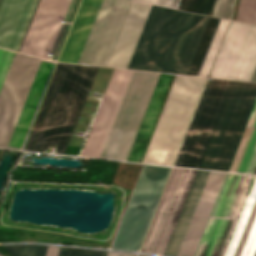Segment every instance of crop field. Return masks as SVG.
<instances>
[{"instance_id":"8a807250","label":"crop field","mask_w":256,"mask_h":256,"mask_svg":"<svg viewBox=\"0 0 256 256\" xmlns=\"http://www.w3.org/2000/svg\"><path fill=\"white\" fill-rule=\"evenodd\" d=\"M159 75L114 70L80 156L127 160Z\"/></svg>"},{"instance_id":"ac0d7876","label":"crop field","mask_w":256,"mask_h":256,"mask_svg":"<svg viewBox=\"0 0 256 256\" xmlns=\"http://www.w3.org/2000/svg\"><path fill=\"white\" fill-rule=\"evenodd\" d=\"M97 68L56 64L23 150L64 153Z\"/></svg>"},{"instance_id":"34b2d1b8","label":"crop field","mask_w":256,"mask_h":256,"mask_svg":"<svg viewBox=\"0 0 256 256\" xmlns=\"http://www.w3.org/2000/svg\"><path fill=\"white\" fill-rule=\"evenodd\" d=\"M42 59L17 53L0 95V147L6 148ZM55 63L42 60L7 148L20 149Z\"/></svg>"},{"instance_id":"412701ff","label":"crop field","mask_w":256,"mask_h":256,"mask_svg":"<svg viewBox=\"0 0 256 256\" xmlns=\"http://www.w3.org/2000/svg\"><path fill=\"white\" fill-rule=\"evenodd\" d=\"M197 16L152 5L127 68L175 73Z\"/></svg>"},{"instance_id":"f4fd0767","label":"crop field","mask_w":256,"mask_h":256,"mask_svg":"<svg viewBox=\"0 0 256 256\" xmlns=\"http://www.w3.org/2000/svg\"><path fill=\"white\" fill-rule=\"evenodd\" d=\"M206 80L176 76L142 162L173 164Z\"/></svg>"},{"instance_id":"dd49c442","label":"crop field","mask_w":256,"mask_h":256,"mask_svg":"<svg viewBox=\"0 0 256 256\" xmlns=\"http://www.w3.org/2000/svg\"><path fill=\"white\" fill-rule=\"evenodd\" d=\"M256 100V83L234 81L199 168L227 171Z\"/></svg>"},{"instance_id":"e52e79f7","label":"crop field","mask_w":256,"mask_h":256,"mask_svg":"<svg viewBox=\"0 0 256 256\" xmlns=\"http://www.w3.org/2000/svg\"><path fill=\"white\" fill-rule=\"evenodd\" d=\"M171 168L145 165L112 248L138 251Z\"/></svg>"},{"instance_id":"d8731c3e","label":"crop field","mask_w":256,"mask_h":256,"mask_svg":"<svg viewBox=\"0 0 256 256\" xmlns=\"http://www.w3.org/2000/svg\"><path fill=\"white\" fill-rule=\"evenodd\" d=\"M233 81H208L175 166L198 168Z\"/></svg>"},{"instance_id":"5a996713","label":"crop field","mask_w":256,"mask_h":256,"mask_svg":"<svg viewBox=\"0 0 256 256\" xmlns=\"http://www.w3.org/2000/svg\"><path fill=\"white\" fill-rule=\"evenodd\" d=\"M196 171L173 169L140 252L164 253Z\"/></svg>"},{"instance_id":"3316defc","label":"crop field","mask_w":256,"mask_h":256,"mask_svg":"<svg viewBox=\"0 0 256 256\" xmlns=\"http://www.w3.org/2000/svg\"><path fill=\"white\" fill-rule=\"evenodd\" d=\"M246 176L227 174L194 256L220 255L247 188L242 187Z\"/></svg>"},{"instance_id":"28ad6ade","label":"crop field","mask_w":256,"mask_h":256,"mask_svg":"<svg viewBox=\"0 0 256 256\" xmlns=\"http://www.w3.org/2000/svg\"><path fill=\"white\" fill-rule=\"evenodd\" d=\"M256 65V25L232 21L211 77L249 81Z\"/></svg>"},{"instance_id":"d1516ede","label":"crop field","mask_w":256,"mask_h":256,"mask_svg":"<svg viewBox=\"0 0 256 256\" xmlns=\"http://www.w3.org/2000/svg\"><path fill=\"white\" fill-rule=\"evenodd\" d=\"M131 2L130 0H103L79 63L107 65Z\"/></svg>"},{"instance_id":"22f410ed","label":"crop field","mask_w":256,"mask_h":256,"mask_svg":"<svg viewBox=\"0 0 256 256\" xmlns=\"http://www.w3.org/2000/svg\"><path fill=\"white\" fill-rule=\"evenodd\" d=\"M71 0H40L20 49L21 53L49 58ZM66 25L63 24L51 54L55 55Z\"/></svg>"},{"instance_id":"cbeb9de0","label":"crop field","mask_w":256,"mask_h":256,"mask_svg":"<svg viewBox=\"0 0 256 256\" xmlns=\"http://www.w3.org/2000/svg\"><path fill=\"white\" fill-rule=\"evenodd\" d=\"M256 251V176H253L220 256H254Z\"/></svg>"},{"instance_id":"5142ce71","label":"crop field","mask_w":256,"mask_h":256,"mask_svg":"<svg viewBox=\"0 0 256 256\" xmlns=\"http://www.w3.org/2000/svg\"><path fill=\"white\" fill-rule=\"evenodd\" d=\"M37 0H2L0 47L17 50Z\"/></svg>"},{"instance_id":"d9b57169","label":"crop field","mask_w":256,"mask_h":256,"mask_svg":"<svg viewBox=\"0 0 256 256\" xmlns=\"http://www.w3.org/2000/svg\"><path fill=\"white\" fill-rule=\"evenodd\" d=\"M151 5L132 2L107 66L126 68Z\"/></svg>"},{"instance_id":"733c2abd","label":"crop field","mask_w":256,"mask_h":256,"mask_svg":"<svg viewBox=\"0 0 256 256\" xmlns=\"http://www.w3.org/2000/svg\"><path fill=\"white\" fill-rule=\"evenodd\" d=\"M227 173L212 172L178 256H193Z\"/></svg>"},{"instance_id":"4a817a6b","label":"crop field","mask_w":256,"mask_h":256,"mask_svg":"<svg viewBox=\"0 0 256 256\" xmlns=\"http://www.w3.org/2000/svg\"><path fill=\"white\" fill-rule=\"evenodd\" d=\"M211 172L198 170L164 254L177 256Z\"/></svg>"},{"instance_id":"bc2a9ffb","label":"crop field","mask_w":256,"mask_h":256,"mask_svg":"<svg viewBox=\"0 0 256 256\" xmlns=\"http://www.w3.org/2000/svg\"><path fill=\"white\" fill-rule=\"evenodd\" d=\"M173 75L161 74L127 161L139 162Z\"/></svg>"},{"instance_id":"214f88e0","label":"crop field","mask_w":256,"mask_h":256,"mask_svg":"<svg viewBox=\"0 0 256 256\" xmlns=\"http://www.w3.org/2000/svg\"><path fill=\"white\" fill-rule=\"evenodd\" d=\"M256 166V103L228 171L252 174Z\"/></svg>"},{"instance_id":"92a150f3","label":"crop field","mask_w":256,"mask_h":256,"mask_svg":"<svg viewBox=\"0 0 256 256\" xmlns=\"http://www.w3.org/2000/svg\"><path fill=\"white\" fill-rule=\"evenodd\" d=\"M219 20L218 18H209L187 75H198Z\"/></svg>"},{"instance_id":"dafd665d","label":"crop field","mask_w":256,"mask_h":256,"mask_svg":"<svg viewBox=\"0 0 256 256\" xmlns=\"http://www.w3.org/2000/svg\"><path fill=\"white\" fill-rule=\"evenodd\" d=\"M209 17L199 15L176 73L186 74Z\"/></svg>"},{"instance_id":"00972430","label":"crop field","mask_w":256,"mask_h":256,"mask_svg":"<svg viewBox=\"0 0 256 256\" xmlns=\"http://www.w3.org/2000/svg\"><path fill=\"white\" fill-rule=\"evenodd\" d=\"M234 0H197L194 13L230 19Z\"/></svg>"},{"instance_id":"a9b5d70f","label":"crop field","mask_w":256,"mask_h":256,"mask_svg":"<svg viewBox=\"0 0 256 256\" xmlns=\"http://www.w3.org/2000/svg\"><path fill=\"white\" fill-rule=\"evenodd\" d=\"M229 22L230 21L223 20V19L220 20L198 76L208 77L214 58L219 49V46L221 44V41L223 39V36L225 34V31L228 27Z\"/></svg>"},{"instance_id":"4177f3b9","label":"crop field","mask_w":256,"mask_h":256,"mask_svg":"<svg viewBox=\"0 0 256 256\" xmlns=\"http://www.w3.org/2000/svg\"><path fill=\"white\" fill-rule=\"evenodd\" d=\"M236 20L256 23V0H240Z\"/></svg>"},{"instance_id":"730fd06b","label":"crop field","mask_w":256,"mask_h":256,"mask_svg":"<svg viewBox=\"0 0 256 256\" xmlns=\"http://www.w3.org/2000/svg\"><path fill=\"white\" fill-rule=\"evenodd\" d=\"M47 246L18 245L5 247L13 256H44Z\"/></svg>"},{"instance_id":"eef30255","label":"crop field","mask_w":256,"mask_h":256,"mask_svg":"<svg viewBox=\"0 0 256 256\" xmlns=\"http://www.w3.org/2000/svg\"><path fill=\"white\" fill-rule=\"evenodd\" d=\"M15 54V52L0 49V92Z\"/></svg>"},{"instance_id":"ae1a2a85","label":"crop field","mask_w":256,"mask_h":256,"mask_svg":"<svg viewBox=\"0 0 256 256\" xmlns=\"http://www.w3.org/2000/svg\"><path fill=\"white\" fill-rule=\"evenodd\" d=\"M107 252L66 248L64 256H106Z\"/></svg>"},{"instance_id":"d3111659","label":"crop field","mask_w":256,"mask_h":256,"mask_svg":"<svg viewBox=\"0 0 256 256\" xmlns=\"http://www.w3.org/2000/svg\"><path fill=\"white\" fill-rule=\"evenodd\" d=\"M136 1L164 5V6H169V7L178 9V7H179L178 3L180 0H136Z\"/></svg>"},{"instance_id":"750c4746","label":"crop field","mask_w":256,"mask_h":256,"mask_svg":"<svg viewBox=\"0 0 256 256\" xmlns=\"http://www.w3.org/2000/svg\"><path fill=\"white\" fill-rule=\"evenodd\" d=\"M196 0H181L179 9L193 12Z\"/></svg>"},{"instance_id":"bd1437ed","label":"crop field","mask_w":256,"mask_h":256,"mask_svg":"<svg viewBox=\"0 0 256 256\" xmlns=\"http://www.w3.org/2000/svg\"><path fill=\"white\" fill-rule=\"evenodd\" d=\"M60 247L48 246L45 256H58Z\"/></svg>"},{"instance_id":"1d83c4d3","label":"crop field","mask_w":256,"mask_h":256,"mask_svg":"<svg viewBox=\"0 0 256 256\" xmlns=\"http://www.w3.org/2000/svg\"><path fill=\"white\" fill-rule=\"evenodd\" d=\"M75 2H76V0H72V2H71V4H70V7H69V9H68V12H67V14H66V17H65V19H64V20H66V21H68V20H69V18H70V15H71V12H72V10H73V7H74Z\"/></svg>"},{"instance_id":"120bbe31","label":"crop field","mask_w":256,"mask_h":256,"mask_svg":"<svg viewBox=\"0 0 256 256\" xmlns=\"http://www.w3.org/2000/svg\"><path fill=\"white\" fill-rule=\"evenodd\" d=\"M107 256H135V255L126 254V253L108 252Z\"/></svg>"},{"instance_id":"d32e631a","label":"crop field","mask_w":256,"mask_h":256,"mask_svg":"<svg viewBox=\"0 0 256 256\" xmlns=\"http://www.w3.org/2000/svg\"><path fill=\"white\" fill-rule=\"evenodd\" d=\"M250 81L256 82V68L254 70V73H253L252 78H251Z\"/></svg>"},{"instance_id":"5866460e","label":"crop field","mask_w":256,"mask_h":256,"mask_svg":"<svg viewBox=\"0 0 256 256\" xmlns=\"http://www.w3.org/2000/svg\"><path fill=\"white\" fill-rule=\"evenodd\" d=\"M64 249H65V248H63V247L60 248L59 256H63Z\"/></svg>"},{"instance_id":"028f5c9d","label":"crop field","mask_w":256,"mask_h":256,"mask_svg":"<svg viewBox=\"0 0 256 256\" xmlns=\"http://www.w3.org/2000/svg\"><path fill=\"white\" fill-rule=\"evenodd\" d=\"M253 174H256V168H255V171H254V173Z\"/></svg>"},{"instance_id":"e1f06a70","label":"crop field","mask_w":256,"mask_h":256,"mask_svg":"<svg viewBox=\"0 0 256 256\" xmlns=\"http://www.w3.org/2000/svg\"><path fill=\"white\" fill-rule=\"evenodd\" d=\"M0 256H2V255L0 254Z\"/></svg>"},{"instance_id":"0bd39190","label":"crop field","mask_w":256,"mask_h":256,"mask_svg":"<svg viewBox=\"0 0 256 256\" xmlns=\"http://www.w3.org/2000/svg\"><path fill=\"white\" fill-rule=\"evenodd\" d=\"M0 2H1V0H0Z\"/></svg>"}]
</instances>
